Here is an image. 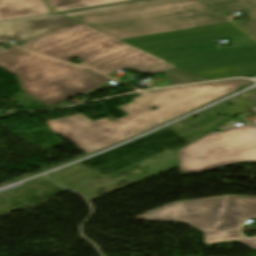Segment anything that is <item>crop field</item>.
<instances>
[{"mask_svg": "<svg viewBox=\"0 0 256 256\" xmlns=\"http://www.w3.org/2000/svg\"><path fill=\"white\" fill-rule=\"evenodd\" d=\"M228 93L212 83L140 92L134 102L119 107L129 115L113 122L107 118L92 122L78 114L46 124L55 134L89 154ZM152 106L157 109L149 110Z\"/></svg>", "mask_w": 256, "mask_h": 256, "instance_id": "obj_1", "label": "crop field"}, {"mask_svg": "<svg viewBox=\"0 0 256 256\" xmlns=\"http://www.w3.org/2000/svg\"><path fill=\"white\" fill-rule=\"evenodd\" d=\"M242 8L249 20L237 22L256 35V0H173L71 18L117 39L164 33L224 22L219 12Z\"/></svg>", "mask_w": 256, "mask_h": 256, "instance_id": "obj_2", "label": "crop field"}, {"mask_svg": "<svg viewBox=\"0 0 256 256\" xmlns=\"http://www.w3.org/2000/svg\"><path fill=\"white\" fill-rule=\"evenodd\" d=\"M19 46L65 61L78 57L84 60L79 64L106 75L121 69L156 74L175 67L79 22Z\"/></svg>", "mask_w": 256, "mask_h": 256, "instance_id": "obj_3", "label": "crop field"}, {"mask_svg": "<svg viewBox=\"0 0 256 256\" xmlns=\"http://www.w3.org/2000/svg\"><path fill=\"white\" fill-rule=\"evenodd\" d=\"M239 35L245 33L224 23L122 41L191 72L256 61V45L218 51L214 40Z\"/></svg>", "mask_w": 256, "mask_h": 256, "instance_id": "obj_4", "label": "crop field"}, {"mask_svg": "<svg viewBox=\"0 0 256 256\" xmlns=\"http://www.w3.org/2000/svg\"><path fill=\"white\" fill-rule=\"evenodd\" d=\"M0 67L16 75L22 90L46 106L108 88L103 84L111 80L88 68L15 47L0 53Z\"/></svg>", "mask_w": 256, "mask_h": 256, "instance_id": "obj_5", "label": "crop field"}, {"mask_svg": "<svg viewBox=\"0 0 256 256\" xmlns=\"http://www.w3.org/2000/svg\"><path fill=\"white\" fill-rule=\"evenodd\" d=\"M241 216L256 218V197L224 195L172 203L136 218L180 220L205 232L206 244L237 239L256 250V237L244 239L235 228Z\"/></svg>", "mask_w": 256, "mask_h": 256, "instance_id": "obj_6", "label": "crop field"}, {"mask_svg": "<svg viewBox=\"0 0 256 256\" xmlns=\"http://www.w3.org/2000/svg\"><path fill=\"white\" fill-rule=\"evenodd\" d=\"M182 174L241 161H256V126L242 125L210 133L177 151Z\"/></svg>", "mask_w": 256, "mask_h": 256, "instance_id": "obj_7", "label": "crop field"}, {"mask_svg": "<svg viewBox=\"0 0 256 256\" xmlns=\"http://www.w3.org/2000/svg\"><path fill=\"white\" fill-rule=\"evenodd\" d=\"M74 22L61 14L4 21L0 22V40L15 39L23 43Z\"/></svg>", "mask_w": 256, "mask_h": 256, "instance_id": "obj_8", "label": "crop field"}, {"mask_svg": "<svg viewBox=\"0 0 256 256\" xmlns=\"http://www.w3.org/2000/svg\"><path fill=\"white\" fill-rule=\"evenodd\" d=\"M49 12L42 0H0V20Z\"/></svg>", "mask_w": 256, "mask_h": 256, "instance_id": "obj_9", "label": "crop field"}, {"mask_svg": "<svg viewBox=\"0 0 256 256\" xmlns=\"http://www.w3.org/2000/svg\"><path fill=\"white\" fill-rule=\"evenodd\" d=\"M192 74L202 77L206 80L252 75L256 74V62L192 72Z\"/></svg>", "mask_w": 256, "mask_h": 256, "instance_id": "obj_10", "label": "crop field"}, {"mask_svg": "<svg viewBox=\"0 0 256 256\" xmlns=\"http://www.w3.org/2000/svg\"><path fill=\"white\" fill-rule=\"evenodd\" d=\"M47 3L55 10H65L78 7H85L98 4H106L128 0H46Z\"/></svg>", "mask_w": 256, "mask_h": 256, "instance_id": "obj_11", "label": "crop field"}, {"mask_svg": "<svg viewBox=\"0 0 256 256\" xmlns=\"http://www.w3.org/2000/svg\"><path fill=\"white\" fill-rule=\"evenodd\" d=\"M166 75L164 76L171 84L203 81L204 79L187 73L177 67L163 71Z\"/></svg>", "mask_w": 256, "mask_h": 256, "instance_id": "obj_12", "label": "crop field"}, {"mask_svg": "<svg viewBox=\"0 0 256 256\" xmlns=\"http://www.w3.org/2000/svg\"><path fill=\"white\" fill-rule=\"evenodd\" d=\"M160 1H167V0H146V1H140V2H133V3H127V4H121V5H114V6H108V7H102V8L64 13V15L72 16V15H78V14H84V13H90V12H96V11H102V10H108V9H114V8L126 7V6H132V5L160 2Z\"/></svg>", "mask_w": 256, "mask_h": 256, "instance_id": "obj_13", "label": "crop field"}, {"mask_svg": "<svg viewBox=\"0 0 256 256\" xmlns=\"http://www.w3.org/2000/svg\"><path fill=\"white\" fill-rule=\"evenodd\" d=\"M252 82L246 80H231V81H224V82H216L215 84L233 92L239 88H242Z\"/></svg>", "mask_w": 256, "mask_h": 256, "instance_id": "obj_14", "label": "crop field"}, {"mask_svg": "<svg viewBox=\"0 0 256 256\" xmlns=\"http://www.w3.org/2000/svg\"><path fill=\"white\" fill-rule=\"evenodd\" d=\"M247 100L256 103V88L239 95Z\"/></svg>", "mask_w": 256, "mask_h": 256, "instance_id": "obj_15", "label": "crop field"}, {"mask_svg": "<svg viewBox=\"0 0 256 256\" xmlns=\"http://www.w3.org/2000/svg\"><path fill=\"white\" fill-rule=\"evenodd\" d=\"M252 113H253L254 115H256V110L252 111ZM251 124H255V125H256V119H255V120H252V121H251Z\"/></svg>", "mask_w": 256, "mask_h": 256, "instance_id": "obj_16", "label": "crop field"}, {"mask_svg": "<svg viewBox=\"0 0 256 256\" xmlns=\"http://www.w3.org/2000/svg\"><path fill=\"white\" fill-rule=\"evenodd\" d=\"M1 43V42H0ZM0 50H2V49H0Z\"/></svg>", "mask_w": 256, "mask_h": 256, "instance_id": "obj_17", "label": "crop field"}, {"mask_svg": "<svg viewBox=\"0 0 256 256\" xmlns=\"http://www.w3.org/2000/svg\"><path fill=\"white\" fill-rule=\"evenodd\" d=\"M256 39V37H254Z\"/></svg>", "mask_w": 256, "mask_h": 256, "instance_id": "obj_18", "label": "crop field"}]
</instances>
